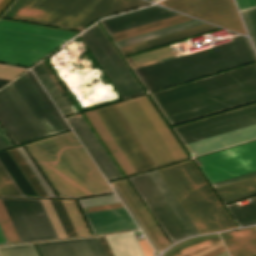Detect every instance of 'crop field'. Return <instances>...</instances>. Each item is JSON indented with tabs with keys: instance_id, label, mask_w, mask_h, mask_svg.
<instances>
[{
	"instance_id": "obj_1",
	"label": "crop field",
	"mask_w": 256,
	"mask_h": 256,
	"mask_svg": "<svg viewBox=\"0 0 256 256\" xmlns=\"http://www.w3.org/2000/svg\"><path fill=\"white\" fill-rule=\"evenodd\" d=\"M25 148L58 197L112 192L73 132Z\"/></svg>"
},
{
	"instance_id": "obj_2",
	"label": "crop field",
	"mask_w": 256,
	"mask_h": 256,
	"mask_svg": "<svg viewBox=\"0 0 256 256\" xmlns=\"http://www.w3.org/2000/svg\"><path fill=\"white\" fill-rule=\"evenodd\" d=\"M157 172L200 234L235 228L191 160Z\"/></svg>"
},
{
	"instance_id": "obj_3",
	"label": "crop field",
	"mask_w": 256,
	"mask_h": 256,
	"mask_svg": "<svg viewBox=\"0 0 256 256\" xmlns=\"http://www.w3.org/2000/svg\"><path fill=\"white\" fill-rule=\"evenodd\" d=\"M116 107L156 166L186 159L146 96L116 104Z\"/></svg>"
},
{
	"instance_id": "obj_4",
	"label": "crop field",
	"mask_w": 256,
	"mask_h": 256,
	"mask_svg": "<svg viewBox=\"0 0 256 256\" xmlns=\"http://www.w3.org/2000/svg\"><path fill=\"white\" fill-rule=\"evenodd\" d=\"M74 35L0 19V61L31 66Z\"/></svg>"
},
{
	"instance_id": "obj_5",
	"label": "crop field",
	"mask_w": 256,
	"mask_h": 256,
	"mask_svg": "<svg viewBox=\"0 0 256 256\" xmlns=\"http://www.w3.org/2000/svg\"><path fill=\"white\" fill-rule=\"evenodd\" d=\"M207 179L212 182L256 170V141L199 157Z\"/></svg>"
},
{
	"instance_id": "obj_6",
	"label": "crop field",
	"mask_w": 256,
	"mask_h": 256,
	"mask_svg": "<svg viewBox=\"0 0 256 256\" xmlns=\"http://www.w3.org/2000/svg\"><path fill=\"white\" fill-rule=\"evenodd\" d=\"M81 37L93 52L123 98L142 94V91L97 24L81 34Z\"/></svg>"
},
{
	"instance_id": "obj_7",
	"label": "crop field",
	"mask_w": 256,
	"mask_h": 256,
	"mask_svg": "<svg viewBox=\"0 0 256 256\" xmlns=\"http://www.w3.org/2000/svg\"><path fill=\"white\" fill-rule=\"evenodd\" d=\"M136 172L155 167L115 105L94 110ZM132 167V168H133ZM134 170V171H135Z\"/></svg>"
},
{
	"instance_id": "obj_8",
	"label": "crop field",
	"mask_w": 256,
	"mask_h": 256,
	"mask_svg": "<svg viewBox=\"0 0 256 256\" xmlns=\"http://www.w3.org/2000/svg\"><path fill=\"white\" fill-rule=\"evenodd\" d=\"M166 7L246 35L233 0H165Z\"/></svg>"
},
{
	"instance_id": "obj_9",
	"label": "crop field",
	"mask_w": 256,
	"mask_h": 256,
	"mask_svg": "<svg viewBox=\"0 0 256 256\" xmlns=\"http://www.w3.org/2000/svg\"><path fill=\"white\" fill-rule=\"evenodd\" d=\"M200 23H202V22H200L196 19H193V20H189V21H186V22H182V23H179V24L172 25V26H168V27H165V28H161V29H158V30H155V31L144 33V34H141V35H137V36L130 37V38H127V39H123V40H120V41H116L115 43H116L117 47H120V46H124V45L131 44V43H134V42H138V41H141V40H145V39H148V38H152V37H155V36H159V35H162V34H165V33H169V32H172V31H176V30H179V29H183V28H186V27L197 25V24H200ZM215 29H219V28L214 27L212 25H209L207 23H204V24H200V25H197V26H193V27H190V28L183 29V30H179V31H176V32H172V33H169V34H165V35H162V36H159V37H155V38H152V39H148V40L141 41V42H138V43H134V44H131V45H127V46H124V47H120V50L123 53V55H125V54H129V53H132V52L147 49V48H150V47L165 44V43H168V42L183 39V38H186V37L201 34V33H204V32L212 31V30H215Z\"/></svg>"
},
{
	"instance_id": "obj_10",
	"label": "crop field",
	"mask_w": 256,
	"mask_h": 256,
	"mask_svg": "<svg viewBox=\"0 0 256 256\" xmlns=\"http://www.w3.org/2000/svg\"><path fill=\"white\" fill-rule=\"evenodd\" d=\"M106 180L122 177L81 114L66 119Z\"/></svg>"
},
{
	"instance_id": "obj_11",
	"label": "crop field",
	"mask_w": 256,
	"mask_h": 256,
	"mask_svg": "<svg viewBox=\"0 0 256 256\" xmlns=\"http://www.w3.org/2000/svg\"><path fill=\"white\" fill-rule=\"evenodd\" d=\"M76 2L77 0H27L12 18L56 26Z\"/></svg>"
},
{
	"instance_id": "obj_12",
	"label": "crop field",
	"mask_w": 256,
	"mask_h": 256,
	"mask_svg": "<svg viewBox=\"0 0 256 256\" xmlns=\"http://www.w3.org/2000/svg\"><path fill=\"white\" fill-rule=\"evenodd\" d=\"M48 135L64 131L51 109L39 94L28 76L23 74L12 82Z\"/></svg>"
},
{
	"instance_id": "obj_13",
	"label": "crop field",
	"mask_w": 256,
	"mask_h": 256,
	"mask_svg": "<svg viewBox=\"0 0 256 256\" xmlns=\"http://www.w3.org/2000/svg\"><path fill=\"white\" fill-rule=\"evenodd\" d=\"M180 15L157 5H152L109 19L102 20V24L109 34Z\"/></svg>"
},
{
	"instance_id": "obj_14",
	"label": "crop field",
	"mask_w": 256,
	"mask_h": 256,
	"mask_svg": "<svg viewBox=\"0 0 256 256\" xmlns=\"http://www.w3.org/2000/svg\"><path fill=\"white\" fill-rule=\"evenodd\" d=\"M113 0H78L57 26L82 30L106 10Z\"/></svg>"
},
{
	"instance_id": "obj_15",
	"label": "crop field",
	"mask_w": 256,
	"mask_h": 256,
	"mask_svg": "<svg viewBox=\"0 0 256 256\" xmlns=\"http://www.w3.org/2000/svg\"><path fill=\"white\" fill-rule=\"evenodd\" d=\"M85 217L94 234L137 228L124 208L87 213Z\"/></svg>"
},
{
	"instance_id": "obj_16",
	"label": "crop field",
	"mask_w": 256,
	"mask_h": 256,
	"mask_svg": "<svg viewBox=\"0 0 256 256\" xmlns=\"http://www.w3.org/2000/svg\"><path fill=\"white\" fill-rule=\"evenodd\" d=\"M255 100H256V92H253V93H249V94L235 97L232 99H228V100H224V101L217 102L214 104H210L207 106H203V107H199V108L192 109L189 111H185L182 113L167 116L166 118H167L168 122L170 123V125H172V124L190 120V119H193L196 117H200L203 115H207L210 113H214L217 111H221L224 109L242 105V104H245L248 102H252Z\"/></svg>"
},
{
	"instance_id": "obj_17",
	"label": "crop field",
	"mask_w": 256,
	"mask_h": 256,
	"mask_svg": "<svg viewBox=\"0 0 256 256\" xmlns=\"http://www.w3.org/2000/svg\"><path fill=\"white\" fill-rule=\"evenodd\" d=\"M84 116L91 124V126L93 127L103 144L106 146L118 166L121 168L125 176L135 173L134 169L132 168L124 154L121 152L117 144L114 142L108 131L105 129L99 118L96 116L94 111L84 113Z\"/></svg>"
},
{
	"instance_id": "obj_18",
	"label": "crop field",
	"mask_w": 256,
	"mask_h": 256,
	"mask_svg": "<svg viewBox=\"0 0 256 256\" xmlns=\"http://www.w3.org/2000/svg\"><path fill=\"white\" fill-rule=\"evenodd\" d=\"M234 239L224 243L231 256H256V228L231 232Z\"/></svg>"
},
{
	"instance_id": "obj_19",
	"label": "crop field",
	"mask_w": 256,
	"mask_h": 256,
	"mask_svg": "<svg viewBox=\"0 0 256 256\" xmlns=\"http://www.w3.org/2000/svg\"><path fill=\"white\" fill-rule=\"evenodd\" d=\"M114 256H144L133 232L105 236Z\"/></svg>"
},
{
	"instance_id": "obj_20",
	"label": "crop field",
	"mask_w": 256,
	"mask_h": 256,
	"mask_svg": "<svg viewBox=\"0 0 256 256\" xmlns=\"http://www.w3.org/2000/svg\"><path fill=\"white\" fill-rule=\"evenodd\" d=\"M224 204L256 194V177L215 188Z\"/></svg>"
},
{
	"instance_id": "obj_21",
	"label": "crop field",
	"mask_w": 256,
	"mask_h": 256,
	"mask_svg": "<svg viewBox=\"0 0 256 256\" xmlns=\"http://www.w3.org/2000/svg\"><path fill=\"white\" fill-rule=\"evenodd\" d=\"M148 175L150 176V178L152 179V181L154 182V184L156 185V187L158 188V190L160 191L168 205L171 207V209L173 210V212L175 213V215L177 216V218L179 219V221L181 222L189 236L198 234V232L196 231L190 220L187 218V216L185 215V213L183 212V210L181 209V207L179 206V204L177 203V201L175 200L167 186L164 184L156 170L148 172Z\"/></svg>"
},
{
	"instance_id": "obj_22",
	"label": "crop field",
	"mask_w": 256,
	"mask_h": 256,
	"mask_svg": "<svg viewBox=\"0 0 256 256\" xmlns=\"http://www.w3.org/2000/svg\"><path fill=\"white\" fill-rule=\"evenodd\" d=\"M17 150L19 151V153L21 154V156L23 157V159L26 161V163L28 164V166L30 167V169L32 170V172L34 173V175L36 176V178L38 179V181L40 182V184L43 186V188L45 189V191L47 192V194L49 195V197H55V195L53 194V192L51 191V189L48 187V185L46 184V182L44 181V179L42 178V176L40 175V173L37 171V169L35 168V166L33 165V163L31 162V160L29 159V157L26 155V153L24 152V150L22 149V147L17 148ZM16 150V148L11 149V152L13 153V155L15 156V158L17 159V161L20 163V165L22 166V168L24 169V171L26 172V174L28 175V177L30 178V180L32 181V183L35 185V187L37 188V190L39 191V193L41 194V196L44 197H48V195L46 194V192L44 191V189L42 188V186L39 184V182L37 181V179L35 178V176L33 175V173L31 172V170L29 169V167L27 166V164L25 163V161L22 159V157L20 156V154L18 153V151ZM10 151V150H9ZM11 153V154H12ZM18 163V164H19ZM20 166V167H21ZM22 169V170H23ZM24 172V173H25ZM26 175V176H27ZM33 185V186H34ZM35 188V189H36ZM37 191V192H38ZM39 194V195H40Z\"/></svg>"
},
{
	"instance_id": "obj_23",
	"label": "crop field",
	"mask_w": 256,
	"mask_h": 256,
	"mask_svg": "<svg viewBox=\"0 0 256 256\" xmlns=\"http://www.w3.org/2000/svg\"><path fill=\"white\" fill-rule=\"evenodd\" d=\"M32 70L47 91V93L50 95L62 115L71 114L72 111L70 110V108L68 107V105L44 71V69L41 67V65L37 64L35 67L32 68Z\"/></svg>"
},
{
	"instance_id": "obj_24",
	"label": "crop field",
	"mask_w": 256,
	"mask_h": 256,
	"mask_svg": "<svg viewBox=\"0 0 256 256\" xmlns=\"http://www.w3.org/2000/svg\"><path fill=\"white\" fill-rule=\"evenodd\" d=\"M115 183H116L115 185L116 188L121 193V195L129 205L131 210L134 212V214L136 215V217L138 218L142 226L145 228V230L147 231V233L149 234L153 242L156 244L158 249L162 250L163 248H165L162 242L160 241V239L158 238V236L156 235V233L154 232V230L152 229V227L150 226V224L148 223V221L146 220V218L144 217V215L141 213V211L139 210V208L137 207V205L135 204V202L133 201V199L131 198V196L129 195V193L121 183V181H117Z\"/></svg>"
},
{
	"instance_id": "obj_25",
	"label": "crop field",
	"mask_w": 256,
	"mask_h": 256,
	"mask_svg": "<svg viewBox=\"0 0 256 256\" xmlns=\"http://www.w3.org/2000/svg\"><path fill=\"white\" fill-rule=\"evenodd\" d=\"M189 19H193V18H189V17L183 16V15H180V16H176V17H173V18L158 21V22H155V23L140 26V27H137V28L122 31V32H119V33L111 34V37L114 39V41H116V40H120V39L127 38V37H130V36H134V35H137V34H141V33H144V32H148V31H151V30H154V29H158V28H161V27H165V26H168V25H172V24H175V23L186 21V20H189Z\"/></svg>"
},
{
	"instance_id": "obj_26",
	"label": "crop field",
	"mask_w": 256,
	"mask_h": 256,
	"mask_svg": "<svg viewBox=\"0 0 256 256\" xmlns=\"http://www.w3.org/2000/svg\"><path fill=\"white\" fill-rule=\"evenodd\" d=\"M0 165L5 171V173L8 175V177L10 178V180L12 181L16 189L19 191L21 196H24V194L22 193V191L20 190V188L18 187V185L16 184L12 176L9 174V172L7 171V169L5 168L1 160H0ZM1 167H0V196H20V194L15 189V187L13 186V184L11 183L9 178L6 176V174L4 173Z\"/></svg>"
},
{
	"instance_id": "obj_27",
	"label": "crop field",
	"mask_w": 256,
	"mask_h": 256,
	"mask_svg": "<svg viewBox=\"0 0 256 256\" xmlns=\"http://www.w3.org/2000/svg\"><path fill=\"white\" fill-rule=\"evenodd\" d=\"M149 4L141 0H114L101 17Z\"/></svg>"
},
{
	"instance_id": "obj_28",
	"label": "crop field",
	"mask_w": 256,
	"mask_h": 256,
	"mask_svg": "<svg viewBox=\"0 0 256 256\" xmlns=\"http://www.w3.org/2000/svg\"><path fill=\"white\" fill-rule=\"evenodd\" d=\"M122 183L124 184V186L130 193L132 198L135 200V202L137 203V205L139 206V208L141 209V211L143 212V214L145 215V217L147 218V220L149 221V223L151 224V226L153 227V229L158 234V236L160 237V239L162 240V242L167 248L170 245L169 242L167 241L163 233L160 231V229L158 228V226L156 225V223L154 222V220L152 219L148 211L145 209V207L143 206V204L141 203V201L139 200V198L137 197L133 189L130 187L126 179L122 180Z\"/></svg>"
},
{
	"instance_id": "obj_29",
	"label": "crop field",
	"mask_w": 256,
	"mask_h": 256,
	"mask_svg": "<svg viewBox=\"0 0 256 256\" xmlns=\"http://www.w3.org/2000/svg\"><path fill=\"white\" fill-rule=\"evenodd\" d=\"M0 226L9 243L20 241L0 200Z\"/></svg>"
},
{
	"instance_id": "obj_30",
	"label": "crop field",
	"mask_w": 256,
	"mask_h": 256,
	"mask_svg": "<svg viewBox=\"0 0 256 256\" xmlns=\"http://www.w3.org/2000/svg\"><path fill=\"white\" fill-rule=\"evenodd\" d=\"M68 237L77 236L60 200H50Z\"/></svg>"
},
{
	"instance_id": "obj_31",
	"label": "crop field",
	"mask_w": 256,
	"mask_h": 256,
	"mask_svg": "<svg viewBox=\"0 0 256 256\" xmlns=\"http://www.w3.org/2000/svg\"><path fill=\"white\" fill-rule=\"evenodd\" d=\"M255 108H256V105H253V106L246 107V108H243V109H239V110H236V111H232V112H229V113H226V114H222V115H219V116L208 118V119H205V120H202V121H198V122H195V123L184 125V126H181V127H178V128H174V130H175V132L181 131V130H184V129H187V128L198 126V125H201V124H204V123L215 121V120H218V119H221V118H225V117L235 115V114H238V113H242V112L252 110V109H255Z\"/></svg>"
},
{
	"instance_id": "obj_32",
	"label": "crop field",
	"mask_w": 256,
	"mask_h": 256,
	"mask_svg": "<svg viewBox=\"0 0 256 256\" xmlns=\"http://www.w3.org/2000/svg\"><path fill=\"white\" fill-rule=\"evenodd\" d=\"M81 208L103 204L117 203L119 200L115 195L78 200Z\"/></svg>"
},
{
	"instance_id": "obj_33",
	"label": "crop field",
	"mask_w": 256,
	"mask_h": 256,
	"mask_svg": "<svg viewBox=\"0 0 256 256\" xmlns=\"http://www.w3.org/2000/svg\"><path fill=\"white\" fill-rule=\"evenodd\" d=\"M41 65L43 66V68L45 69V71L47 72V74L49 75V77L51 78V80L53 81V83L55 84V86L57 87V89L59 90V92L61 93V95L63 96V98L65 99V101L67 102V104L69 105V107L71 108V110L73 111V113L78 112V109L76 108V106L73 104V102L71 101V99L69 98V96L67 95V93L64 91V89L62 88V86L60 85V83L58 82V80L55 78V76L53 75V73L51 72V70L49 69V67L46 65V63L43 61L40 62ZM39 63V64H40ZM41 66V67H42Z\"/></svg>"
},
{
	"instance_id": "obj_34",
	"label": "crop field",
	"mask_w": 256,
	"mask_h": 256,
	"mask_svg": "<svg viewBox=\"0 0 256 256\" xmlns=\"http://www.w3.org/2000/svg\"><path fill=\"white\" fill-rule=\"evenodd\" d=\"M27 75L29 76V78L32 80V82L34 83V85L36 86V88L38 89V91L40 92V94L43 96V98L45 99V101L47 102V104L49 105V107L52 109V111L54 112V114L56 115V117L58 118V120L60 121V123L63 125V127L65 128V130H68V126L66 125V123L64 122V120L62 119V117L60 116V114L58 113V111L56 110V108L54 107V105L52 104V102L50 101V99L47 97V95L45 94V92L43 91V89L41 88V86L39 85V83L37 82V80L35 79V77L33 76V74L31 73V71L26 72ZM61 125V126H62Z\"/></svg>"
},
{
	"instance_id": "obj_35",
	"label": "crop field",
	"mask_w": 256,
	"mask_h": 256,
	"mask_svg": "<svg viewBox=\"0 0 256 256\" xmlns=\"http://www.w3.org/2000/svg\"><path fill=\"white\" fill-rule=\"evenodd\" d=\"M253 176H256V172H252V173H248V174L241 175V176H238V177L223 180V181H220V182L212 183V186H213V188H215V187H219V186H222V185H225V184H229V183L236 182V181H239V180H243V179L253 177Z\"/></svg>"
},
{
	"instance_id": "obj_36",
	"label": "crop field",
	"mask_w": 256,
	"mask_h": 256,
	"mask_svg": "<svg viewBox=\"0 0 256 256\" xmlns=\"http://www.w3.org/2000/svg\"><path fill=\"white\" fill-rule=\"evenodd\" d=\"M241 14L243 16V19H244L246 27L248 29L249 35H250V37L252 39V42L254 44V47L256 49V34H255V31H254L253 26L251 24V21L249 19L248 13L245 10V11H242Z\"/></svg>"
},
{
	"instance_id": "obj_37",
	"label": "crop field",
	"mask_w": 256,
	"mask_h": 256,
	"mask_svg": "<svg viewBox=\"0 0 256 256\" xmlns=\"http://www.w3.org/2000/svg\"><path fill=\"white\" fill-rule=\"evenodd\" d=\"M218 240H220L219 237H217V238H212V239H208V240H204V241H200V242H197V243H193V244H191V245H189V246H187V247L181 249L180 251L176 252V253L173 254L172 256H177V255H179L180 253H182V252H184V251H186V250H188V249H191V248H193V247H196V246H199V245H202V244H206V243H210V242H214V241H218Z\"/></svg>"
},
{
	"instance_id": "obj_38",
	"label": "crop field",
	"mask_w": 256,
	"mask_h": 256,
	"mask_svg": "<svg viewBox=\"0 0 256 256\" xmlns=\"http://www.w3.org/2000/svg\"><path fill=\"white\" fill-rule=\"evenodd\" d=\"M120 207H122L121 203H117V204H111V205L91 207L87 209L89 212H93V211L107 210V209L120 208ZM84 213H87V212H84Z\"/></svg>"
},
{
	"instance_id": "obj_39",
	"label": "crop field",
	"mask_w": 256,
	"mask_h": 256,
	"mask_svg": "<svg viewBox=\"0 0 256 256\" xmlns=\"http://www.w3.org/2000/svg\"><path fill=\"white\" fill-rule=\"evenodd\" d=\"M12 146V143L0 127V149Z\"/></svg>"
},
{
	"instance_id": "obj_40",
	"label": "crop field",
	"mask_w": 256,
	"mask_h": 256,
	"mask_svg": "<svg viewBox=\"0 0 256 256\" xmlns=\"http://www.w3.org/2000/svg\"><path fill=\"white\" fill-rule=\"evenodd\" d=\"M115 189V191L117 192V194L120 196V198L122 199V201L124 202V204L126 205V207L128 208V210L131 212V214L133 215V217L135 218V220L137 221V223L140 225V227L142 228L146 238L149 240V242L154 246V248L158 251V249L156 248V246L154 245V243L151 241V239L149 238V236L147 235V233L145 232V230L143 229V227L141 226V224L139 223V221L136 219V217L134 216V214L132 213V211L130 210V208L128 207V205L126 204V202L124 201V199L121 197V195L119 194V192L117 191V189L115 188V186L113 187ZM158 253H160L158 251Z\"/></svg>"
},
{
	"instance_id": "obj_41",
	"label": "crop field",
	"mask_w": 256,
	"mask_h": 256,
	"mask_svg": "<svg viewBox=\"0 0 256 256\" xmlns=\"http://www.w3.org/2000/svg\"><path fill=\"white\" fill-rule=\"evenodd\" d=\"M107 256H113L112 251L104 236L98 237Z\"/></svg>"
},
{
	"instance_id": "obj_42",
	"label": "crop field",
	"mask_w": 256,
	"mask_h": 256,
	"mask_svg": "<svg viewBox=\"0 0 256 256\" xmlns=\"http://www.w3.org/2000/svg\"><path fill=\"white\" fill-rule=\"evenodd\" d=\"M247 11L249 13L250 19L256 31V8L248 9Z\"/></svg>"
},
{
	"instance_id": "obj_43",
	"label": "crop field",
	"mask_w": 256,
	"mask_h": 256,
	"mask_svg": "<svg viewBox=\"0 0 256 256\" xmlns=\"http://www.w3.org/2000/svg\"><path fill=\"white\" fill-rule=\"evenodd\" d=\"M225 251L226 250H225L224 246H222V247H220V248H218V249H216V250H214V251H212V252H210V253H208L204 256H217V255H219V254H221Z\"/></svg>"
},
{
	"instance_id": "obj_44",
	"label": "crop field",
	"mask_w": 256,
	"mask_h": 256,
	"mask_svg": "<svg viewBox=\"0 0 256 256\" xmlns=\"http://www.w3.org/2000/svg\"><path fill=\"white\" fill-rule=\"evenodd\" d=\"M236 2L240 10L250 8L247 0H236Z\"/></svg>"
},
{
	"instance_id": "obj_45",
	"label": "crop field",
	"mask_w": 256,
	"mask_h": 256,
	"mask_svg": "<svg viewBox=\"0 0 256 256\" xmlns=\"http://www.w3.org/2000/svg\"><path fill=\"white\" fill-rule=\"evenodd\" d=\"M12 0H2L0 2V13L5 9V7L11 2Z\"/></svg>"
},
{
	"instance_id": "obj_46",
	"label": "crop field",
	"mask_w": 256,
	"mask_h": 256,
	"mask_svg": "<svg viewBox=\"0 0 256 256\" xmlns=\"http://www.w3.org/2000/svg\"><path fill=\"white\" fill-rule=\"evenodd\" d=\"M2 243H8V242H7L5 236H4V234H3V232L0 228V244H2Z\"/></svg>"
},
{
	"instance_id": "obj_47",
	"label": "crop field",
	"mask_w": 256,
	"mask_h": 256,
	"mask_svg": "<svg viewBox=\"0 0 256 256\" xmlns=\"http://www.w3.org/2000/svg\"><path fill=\"white\" fill-rule=\"evenodd\" d=\"M248 2L251 8L256 6V0H248Z\"/></svg>"
},
{
	"instance_id": "obj_48",
	"label": "crop field",
	"mask_w": 256,
	"mask_h": 256,
	"mask_svg": "<svg viewBox=\"0 0 256 256\" xmlns=\"http://www.w3.org/2000/svg\"><path fill=\"white\" fill-rule=\"evenodd\" d=\"M1 1V0H0Z\"/></svg>"
}]
</instances>
